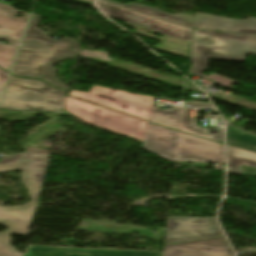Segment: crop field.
I'll list each match as a JSON object with an SVG mask.
<instances>
[{
    "mask_svg": "<svg viewBox=\"0 0 256 256\" xmlns=\"http://www.w3.org/2000/svg\"><path fill=\"white\" fill-rule=\"evenodd\" d=\"M66 94L39 80L11 76L0 109L61 114Z\"/></svg>",
    "mask_w": 256,
    "mask_h": 256,
    "instance_id": "412701ff",
    "label": "crop field"
},
{
    "mask_svg": "<svg viewBox=\"0 0 256 256\" xmlns=\"http://www.w3.org/2000/svg\"><path fill=\"white\" fill-rule=\"evenodd\" d=\"M245 54L256 55L255 35L193 30L190 73L198 75L205 70L208 58L243 61Z\"/></svg>",
    "mask_w": 256,
    "mask_h": 256,
    "instance_id": "34b2d1b8",
    "label": "crop field"
},
{
    "mask_svg": "<svg viewBox=\"0 0 256 256\" xmlns=\"http://www.w3.org/2000/svg\"><path fill=\"white\" fill-rule=\"evenodd\" d=\"M64 1L78 2V3H84V4L92 5V3L81 1V0H64Z\"/></svg>",
    "mask_w": 256,
    "mask_h": 256,
    "instance_id": "4177f3b9",
    "label": "crop field"
},
{
    "mask_svg": "<svg viewBox=\"0 0 256 256\" xmlns=\"http://www.w3.org/2000/svg\"><path fill=\"white\" fill-rule=\"evenodd\" d=\"M96 4L99 9L108 16L191 42L192 29L147 16L101 0H96Z\"/></svg>",
    "mask_w": 256,
    "mask_h": 256,
    "instance_id": "5a996713",
    "label": "crop field"
},
{
    "mask_svg": "<svg viewBox=\"0 0 256 256\" xmlns=\"http://www.w3.org/2000/svg\"><path fill=\"white\" fill-rule=\"evenodd\" d=\"M7 75H8V73H6L0 69V95H1L2 89L4 87Z\"/></svg>",
    "mask_w": 256,
    "mask_h": 256,
    "instance_id": "a9b5d70f",
    "label": "crop field"
},
{
    "mask_svg": "<svg viewBox=\"0 0 256 256\" xmlns=\"http://www.w3.org/2000/svg\"><path fill=\"white\" fill-rule=\"evenodd\" d=\"M142 148L174 161H196L224 164L223 145L149 124Z\"/></svg>",
    "mask_w": 256,
    "mask_h": 256,
    "instance_id": "ac0d7876",
    "label": "crop field"
},
{
    "mask_svg": "<svg viewBox=\"0 0 256 256\" xmlns=\"http://www.w3.org/2000/svg\"><path fill=\"white\" fill-rule=\"evenodd\" d=\"M97 53H105V55H101V54H97ZM78 55L92 57V58H99V59L105 60V61H114L107 57V52L81 49Z\"/></svg>",
    "mask_w": 256,
    "mask_h": 256,
    "instance_id": "dafd665d",
    "label": "crop field"
},
{
    "mask_svg": "<svg viewBox=\"0 0 256 256\" xmlns=\"http://www.w3.org/2000/svg\"><path fill=\"white\" fill-rule=\"evenodd\" d=\"M125 25H128L132 28L135 29V33L142 35L144 37L147 38H155L152 35L154 33H158L146 28H142L136 25H132V24H128L126 23ZM149 32H152L151 34H148ZM161 34V33H159ZM159 41H161L162 43L152 47L154 49H157L159 51L162 52H167V53H172V54H176V55H180L182 57H188L189 58V52H190V43L184 42L182 40L167 36L162 34V36L160 38H155Z\"/></svg>",
    "mask_w": 256,
    "mask_h": 256,
    "instance_id": "5142ce71",
    "label": "crop field"
},
{
    "mask_svg": "<svg viewBox=\"0 0 256 256\" xmlns=\"http://www.w3.org/2000/svg\"><path fill=\"white\" fill-rule=\"evenodd\" d=\"M17 13H22L25 17L16 18ZM28 16V13L15 10L10 5L0 3V39L10 42L9 45L0 44V67L4 70L10 69L26 27Z\"/></svg>",
    "mask_w": 256,
    "mask_h": 256,
    "instance_id": "3316defc",
    "label": "crop field"
},
{
    "mask_svg": "<svg viewBox=\"0 0 256 256\" xmlns=\"http://www.w3.org/2000/svg\"><path fill=\"white\" fill-rule=\"evenodd\" d=\"M23 256H160L161 252L62 247H26Z\"/></svg>",
    "mask_w": 256,
    "mask_h": 256,
    "instance_id": "d1516ede",
    "label": "crop field"
},
{
    "mask_svg": "<svg viewBox=\"0 0 256 256\" xmlns=\"http://www.w3.org/2000/svg\"><path fill=\"white\" fill-rule=\"evenodd\" d=\"M32 221L23 219L0 211V224L9 227L5 232H0V256H22L6 241L10 233H18L27 236Z\"/></svg>",
    "mask_w": 256,
    "mask_h": 256,
    "instance_id": "cbeb9de0",
    "label": "crop field"
},
{
    "mask_svg": "<svg viewBox=\"0 0 256 256\" xmlns=\"http://www.w3.org/2000/svg\"><path fill=\"white\" fill-rule=\"evenodd\" d=\"M194 29H206L256 35V18L229 19L195 12Z\"/></svg>",
    "mask_w": 256,
    "mask_h": 256,
    "instance_id": "22f410ed",
    "label": "crop field"
},
{
    "mask_svg": "<svg viewBox=\"0 0 256 256\" xmlns=\"http://www.w3.org/2000/svg\"><path fill=\"white\" fill-rule=\"evenodd\" d=\"M181 111V108L173 110H160L153 108L150 121L179 130Z\"/></svg>",
    "mask_w": 256,
    "mask_h": 256,
    "instance_id": "214f88e0",
    "label": "crop field"
},
{
    "mask_svg": "<svg viewBox=\"0 0 256 256\" xmlns=\"http://www.w3.org/2000/svg\"><path fill=\"white\" fill-rule=\"evenodd\" d=\"M227 144L256 151V136L227 125Z\"/></svg>",
    "mask_w": 256,
    "mask_h": 256,
    "instance_id": "bc2a9ffb",
    "label": "crop field"
},
{
    "mask_svg": "<svg viewBox=\"0 0 256 256\" xmlns=\"http://www.w3.org/2000/svg\"><path fill=\"white\" fill-rule=\"evenodd\" d=\"M222 236L215 218L169 217L164 245Z\"/></svg>",
    "mask_w": 256,
    "mask_h": 256,
    "instance_id": "d8731c3e",
    "label": "crop field"
},
{
    "mask_svg": "<svg viewBox=\"0 0 256 256\" xmlns=\"http://www.w3.org/2000/svg\"><path fill=\"white\" fill-rule=\"evenodd\" d=\"M64 108L87 124L134 138L138 140V143L143 142L149 124L148 122L69 96Z\"/></svg>",
    "mask_w": 256,
    "mask_h": 256,
    "instance_id": "f4fd0767",
    "label": "crop field"
},
{
    "mask_svg": "<svg viewBox=\"0 0 256 256\" xmlns=\"http://www.w3.org/2000/svg\"><path fill=\"white\" fill-rule=\"evenodd\" d=\"M163 256H233L223 237L164 246Z\"/></svg>",
    "mask_w": 256,
    "mask_h": 256,
    "instance_id": "28ad6ade",
    "label": "crop field"
},
{
    "mask_svg": "<svg viewBox=\"0 0 256 256\" xmlns=\"http://www.w3.org/2000/svg\"><path fill=\"white\" fill-rule=\"evenodd\" d=\"M50 155L16 154L5 156L0 161V173L15 169L22 171L21 179L28 189L31 200L29 203L14 207H1L0 210L27 219H32L41 192L43 179Z\"/></svg>",
    "mask_w": 256,
    "mask_h": 256,
    "instance_id": "dd49c442",
    "label": "crop field"
},
{
    "mask_svg": "<svg viewBox=\"0 0 256 256\" xmlns=\"http://www.w3.org/2000/svg\"><path fill=\"white\" fill-rule=\"evenodd\" d=\"M189 110L190 108H183L182 116H181V124H180V130L189 134L205 137L211 140H223V128L215 134L210 135L208 134V128H201L200 126L196 125V120L189 118Z\"/></svg>",
    "mask_w": 256,
    "mask_h": 256,
    "instance_id": "4a817a6b",
    "label": "crop field"
},
{
    "mask_svg": "<svg viewBox=\"0 0 256 256\" xmlns=\"http://www.w3.org/2000/svg\"><path fill=\"white\" fill-rule=\"evenodd\" d=\"M40 18L39 15H32L16 60L26 62L21 76L43 79L59 89H67L68 85L57 78V69L53 66L54 63L68 58L76 59L80 44L76 39L69 37L51 39L47 33L37 28Z\"/></svg>",
    "mask_w": 256,
    "mask_h": 256,
    "instance_id": "8a807250",
    "label": "crop field"
},
{
    "mask_svg": "<svg viewBox=\"0 0 256 256\" xmlns=\"http://www.w3.org/2000/svg\"><path fill=\"white\" fill-rule=\"evenodd\" d=\"M213 74V73H212ZM211 75V74H210ZM199 76L201 77H204V78H207V79H211V80H214L217 82V84L221 85V86H224L228 89H231L232 87H230L234 82H237V81H234L232 79H229V78H226V77H223L221 75H218V74H213L209 77H206L202 74H200ZM237 83H240V82H237Z\"/></svg>",
    "mask_w": 256,
    "mask_h": 256,
    "instance_id": "92a150f3",
    "label": "crop field"
},
{
    "mask_svg": "<svg viewBox=\"0 0 256 256\" xmlns=\"http://www.w3.org/2000/svg\"><path fill=\"white\" fill-rule=\"evenodd\" d=\"M228 173L241 174L240 165L256 167V153L227 145Z\"/></svg>",
    "mask_w": 256,
    "mask_h": 256,
    "instance_id": "733c2abd",
    "label": "crop field"
},
{
    "mask_svg": "<svg viewBox=\"0 0 256 256\" xmlns=\"http://www.w3.org/2000/svg\"><path fill=\"white\" fill-rule=\"evenodd\" d=\"M24 64H25V63L16 62V63H15V66H14V68H13L12 74H14V75H19V76H20Z\"/></svg>",
    "mask_w": 256,
    "mask_h": 256,
    "instance_id": "00972430",
    "label": "crop field"
},
{
    "mask_svg": "<svg viewBox=\"0 0 256 256\" xmlns=\"http://www.w3.org/2000/svg\"><path fill=\"white\" fill-rule=\"evenodd\" d=\"M86 1H90V2H92V0H86Z\"/></svg>",
    "mask_w": 256,
    "mask_h": 256,
    "instance_id": "730fd06b",
    "label": "crop field"
},
{
    "mask_svg": "<svg viewBox=\"0 0 256 256\" xmlns=\"http://www.w3.org/2000/svg\"><path fill=\"white\" fill-rule=\"evenodd\" d=\"M116 5H120L147 15H151L163 20H167L182 26H186L189 28L193 29V20L194 17L190 16V15H175V14H167L166 12H163L161 10L155 9V8H151V7H147V6H143L141 4L138 3H134V4H130V5H124L112 0H104Z\"/></svg>",
    "mask_w": 256,
    "mask_h": 256,
    "instance_id": "d9b57169",
    "label": "crop field"
},
{
    "mask_svg": "<svg viewBox=\"0 0 256 256\" xmlns=\"http://www.w3.org/2000/svg\"><path fill=\"white\" fill-rule=\"evenodd\" d=\"M69 95L92 101L137 117L150 118L155 97L93 86L90 93L70 91Z\"/></svg>",
    "mask_w": 256,
    "mask_h": 256,
    "instance_id": "e52e79f7",
    "label": "crop field"
}]
</instances>
